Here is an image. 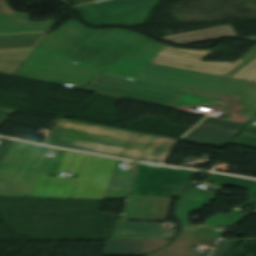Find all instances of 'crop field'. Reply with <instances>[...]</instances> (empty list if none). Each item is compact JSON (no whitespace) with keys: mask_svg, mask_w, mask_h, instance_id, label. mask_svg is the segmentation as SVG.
Here are the masks:
<instances>
[{"mask_svg":"<svg viewBox=\"0 0 256 256\" xmlns=\"http://www.w3.org/2000/svg\"><path fill=\"white\" fill-rule=\"evenodd\" d=\"M49 149L13 141L0 165V196L30 197L34 171L55 174L65 151L45 157Z\"/></svg>","mask_w":256,"mask_h":256,"instance_id":"412701ff","label":"crop field"},{"mask_svg":"<svg viewBox=\"0 0 256 256\" xmlns=\"http://www.w3.org/2000/svg\"><path fill=\"white\" fill-rule=\"evenodd\" d=\"M231 144L256 148V126L248 125Z\"/></svg>","mask_w":256,"mask_h":256,"instance_id":"733c2abd","label":"crop field"},{"mask_svg":"<svg viewBox=\"0 0 256 256\" xmlns=\"http://www.w3.org/2000/svg\"><path fill=\"white\" fill-rule=\"evenodd\" d=\"M209 181L219 185L256 190V182L237 177L211 174Z\"/></svg>","mask_w":256,"mask_h":256,"instance_id":"cbeb9de0","label":"crop field"},{"mask_svg":"<svg viewBox=\"0 0 256 256\" xmlns=\"http://www.w3.org/2000/svg\"><path fill=\"white\" fill-rule=\"evenodd\" d=\"M242 205H246V206H250V207L256 208V202L250 201V200L246 201V202L243 203Z\"/></svg>","mask_w":256,"mask_h":256,"instance_id":"4177f3b9","label":"crop field"},{"mask_svg":"<svg viewBox=\"0 0 256 256\" xmlns=\"http://www.w3.org/2000/svg\"><path fill=\"white\" fill-rule=\"evenodd\" d=\"M153 138V135L60 119L45 144L142 161Z\"/></svg>","mask_w":256,"mask_h":256,"instance_id":"34b2d1b8","label":"crop field"},{"mask_svg":"<svg viewBox=\"0 0 256 256\" xmlns=\"http://www.w3.org/2000/svg\"><path fill=\"white\" fill-rule=\"evenodd\" d=\"M209 52L171 48L147 38L82 90L179 110L211 108L220 99L223 111L230 101L228 120L246 124L256 111V55L200 62Z\"/></svg>","mask_w":256,"mask_h":256,"instance_id":"8a807250","label":"crop field"},{"mask_svg":"<svg viewBox=\"0 0 256 256\" xmlns=\"http://www.w3.org/2000/svg\"><path fill=\"white\" fill-rule=\"evenodd\" d=\"M249 195L247 198L256 200V191L247 190Z\"/></svg>","mask_w":256,"mask_h":256,"instance_id":"a9b5d70f","label":"crop field"},{"mask_svg":"<svg viewBox=\"0 0 256 256\" xmlns=\"http://www.w3.org/2000/svg\"><path fill=\"white\" fill-rule=\"evenodd\" d=\"M253 121H256V115H255V117L253 118Z\"/></svg>","mask_w":256,"mask_h":256,"instance_id":"eef30255","label":"crop field"},{"mask_svg":"<svg viewBox=\"0 0 256 256\" xmlns=\"http://www.w3.org/2000/svg\"><path fill=\"white\" fill-rule=\"evenodd\" d=\"M244 126L243 124L208 117L182 140L222 147Z\"/></svg>","mask_w":256,"mask_h":256,"instance_id":"d8731c3e","label":"crop field"},{"mask_svg":"<svg viewBox=\"0 0 256 256\" xmlns=\"http://www.w3.org/2000/svg\"><path fill=\"white\" fill-rule=\"evenodd\" d=\"M217 239H197V240H175L167 248L148 256H208L210 251L205 253L194 251L196 242L215 244Z\"/></svg>","mask_w":256,"mask_h":256,"instance_id":"d1516ede","label":"crop field"},{"mask_svg":"<svg viewBox=\"0 0 256 256\" xmlns=\"http://www.w3.org/2000/svg\"><path fill=\"white\" fill-rule=\"evenodd\" d=\"M220 36H237L231 25L161 37L175 43L190 44L202 41L212 40Z\"/></svg>","mask_w":256,"mask_h":256,"instance_id":"28ad6ade","label":"crop field"},{"mask_svg":"<svg viewBox=\"0 0 256 256\" xmlns=\"http://www.w3.org/2000/svg\"><path fill=\"white\" fill-rule=\"evenodd\" d=\"M169 241L157 240H106L103 256H144Z\"/></svg>","mask_w":256,"mask_h":256,"instance_id":"3316defc","label":"crop field"},{"mask_svg":"<svg viewBox=\"0 0 256 256\" xmlns=\"http://www.w3.org/2000/svg\"><path fill=\"white\" fill-rule=\"evenodd\" d=\"M85 154L83 153H77L76 155V158L74 160V163H73V166L71 168V171L70 173H74V174H77L78 173V170L80 168V165H81V162L83 160V157H84Z\"/></svg>","mask_w":256,"mask_h":256,"instance_id":"214f88e0","label":"crop field"},{"mask_svg":"<svg viewBox=\"0 0 256 256\" xmlns=\"http://www.w3.org/2000/svg\"><path fill=\"white\" fill-rule=\"evenodd\" d=\"M117 161L86 154L76 177L72 198L103 199Z\"/></svg>","mask_w":256,"mask_h":256,"instance_id":"e52e79f7","label":"crop field"},{"mask_svg":"<svg viewBox=\"0 0 256 256\" xmlns=\"http://www.w3.org/2000/svg\"><path fill=\"white\" fill-rule=\"evenodd\" d=\"M175 139H169L164 137L155 136L150 148L148 149L143 161L162 163L166 155L171 150Z\"/></svg>","mask_w":256,"mask_h":256,"instance_id":"22f410ed","label":"crop field"},{"mask_svg":"<svg viewBox=\"0 0 256 256\" xmlns=\"http://www.w3.org/2000/svg\"><path fill=\"white\" fill-rule=\"evenodd\" d=\"M245 39H249V40H253L256 41V36H252V37H244Z\"/></svg>","mask_w":256,"mask_h":256,"instance_id":"730fd06b","label":"crop field"},{"mask_svg":"<svg viewBox=\"0 0 256 256\" xmlns=\"http://www.w3.org/2000/svg\"><path fill=\"white\" fill-rule=\"evenodd\" d=\"M221 233L208 227H201L197 230L182 229L176 239L218 238Z\"/></svg>","mask_w":256,"mask_h":256,"instance_id":"5142ce71","label":"crop field"},{"mask_svg":"<svg viewBox=\"0 0 256 256\" xmlns=\"http://www.w3.org/2000/svg\"><path fill=\"white\" fill-rule=\"evenodd\" d=\"M0 13H15L7 5L5 0H0Z\"/></svg>","mask_w":256,"mask_h":256,"instance_id":"dafd665d","label":"crop field"},{"mask_svg":"<svg viewBox=\"0 0 256 256\" xmlns=\"http://www.w3.org/2000/svg\"><path fill=\"white\" fill-rule=\"evenodd\" d=\"M244 216H246V214L232 211L228 215L220 214L209 218L205 225L217 228L219 225H224L225 223L228 225L235 224Z\"/></svg>","mask_w":256,"mask_h":256,"instance_id":"d9b57169","label":"crop field"},{"mask_svg":"<svg viewBox=\"0 0 256 256\" xmlns=\"http://www.w3.org/2000/svg\"><path fill=\"white\" fill-rule=\"evenodd\" d=\"M234 241H221L219 240L217 247L212 256H226L227 252L233 245Z\"/></svg>","mask_w":256,"mask_h":256,"instance_id":"4a817a6b","label":"crop field"},{"mask_svg":"<svg viewBox=\"0 0 256 256\" xmlns=\"http://www.w3.org/2000/svg\"><path fill=\"white\" fill-rule=\"evenodd\" d=\"M146 38L70 20L44 36L15 76L81 89Z\"/></svg>","mask_w":256,"mask_h":256,"instance_id":"ac0d7876","label":"crop field"},{"mask_svg":"<svg viewBox=\"0 0 256 256\" xmlns=\"http://www.w3.org/2000/svg\"><path fill=\"white\" fill-rule=\"evenodd\" d=\"M13 110H7L0 108V124L13 113Z\"/></svg>","mask_w":256,"mask_h":256,"instance_id":"00972430","label":"crop field"},{"mask_svg":"<svg viewBox=\"0 0 256 256\" xmlns=\"http://www.w3.org/2000/svg\"><path fill=\"white\" fill-rule=\"evenodd\" d=\"M75 179L52 178L35 172L31 197L71 198Z\"/></svg>","mask_w":256,"mask_h":256,"instance_id":"5a996713","label":"crop field"},{"mask_svg":"<svg viewBox=\"0 0 256 256\" xmlns=\"http://www.w3.org/2000/svg\"><path fill=\"white\" fill-rule=\"evenodd\" d=\"M193 174L195 172L140 164L129 194L177 197Z\"/></svg>","mask_w":256,"mask_h":256,"instance_id":"dd49c442","label":"crop field"},{"mask_svg":"<svg viewBox=\"0 0 256 256\" xmlns=\"http://www.w3.org/2000/svg\"><path fill=\"white\" fill-rule=\"evenodd\" d=\"M119 160L104 199L127 198L119 220L166 222L173 198L128 195L137 170L119 168Z\"/></svg>","mask_w":256,"mask_h":256,"instance_id":"f4fd0767","label":"crop field"},{"mask_svg":"<svg viewBox=\"0 0 256 256\" xmlns=\"http://www.w3.org/2000/svg\"><path fill=\"white\" fill-rule=\"evenodd\" d=\"M12 141L10 140H6V142L4 143L3 146H0V164L6 154V152L8 151L10 145H11Z\"/></svg>","mask_w":256,"mask_h":256,"instance_id":"92a150f3","label":"crop field"},{"mask_svg":"<svg viewBox=\"0 0 256 256\" xmlns=\"http://www.w3.org/2000/svg\"><path fill=\"white\" fill-rule=\"evenodd\" d=\"M73 155H74V152H69V151L65 152L63 159L59 165V168L56 172V174H58V176L60 175V172H68Z\"/></svg>","mask_w":256,"mask_h":256,"instance_id":"bc2a9ffb","label":"crop field"},{"mask_svg":"<svg viewBox=\"0 0 256 256\" xmlns=\"http://www.w3.org/2000/svg\"><path fill=\"white\" fill-rule=\"evenodd\" d=\"M254 214H256V212H254Z\"/></svg>","mask_w":256,"mask_h":256,"instance_id":"ae1a2a85","label":"crop field"}]
</instances>
